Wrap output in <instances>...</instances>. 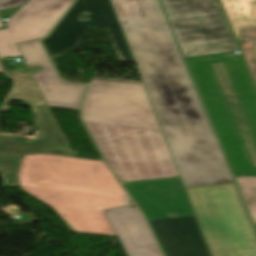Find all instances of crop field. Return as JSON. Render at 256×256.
<instances>
[{
	"mask_svg": "<svg viewBox=\"0 0 256 256\" xmlns=\"http://www.w3.org/2000/svg\"><path fill=\"white\" fill-rule=\"evenodd\" d=\"M91 12L89 20H78L82 12ZM64 19L92 23L91 26L108 29L107 22H119L111 0H77Z\"/></svg>",
	"mask_w": 256,
	"mask_h": 256,
	"instance_id": "14",
	"label": "crop field"
},
{
	"mask_svg": "<svg viewBox=\"0 0 256 256\" xmlns=\"http://www.w3.org/2000/svg\"><path fill=\"white\" fill-rule=\"evenodd\" d=\"M83 120L161 129L143 82L93 77Z\"/></svg>",
	"mask_w": 256,
	"mask_h": 256,
	"instance_id": "7",
	"label": "crop field"
},
{
	"mask_svg": "<svg viewBox=\"0 0 256 256\" xmlns=\"http://www.w3.org/2000/svg\"><path fill=\"white\" fill-rule=\"evenodd\" d=\"M0 73H4L3 70H2V68H1V65H0Z\"/></svg>",
	"mask_w": 256,
	"mask_h": 256,
	"instance_id": "25",
	"label": "crop field"
},
{
	"mask_svg": "<svg viewBox=\"0 0 256 256\" xmlns=\"http://www.w3.org/2000/svg\"><path fill=\"white\" fill-rule=\"evenodd\" d=\"M85 124L122 182L180 176L161 130Z\"/></svg>",
	"mask_w": 256,
	"mask_h": 256,
	"instance_id": "5",
	"label": "crop field"
},
{
	"mask_svg": "<svg viewBox=\"0 0 256 256\" xmlns=\"http://www.w3.org/2000/svg\"><path fill=\"white\" fill-rule=\"evenodd\" d=\"M220 1L238 42L256 38V0Z\"/></svg>",
	"mask_w": 256,
	"mask_h": 256,
	"instance_id": "13",
	"label": "crop field"
},
{
	"mask_svg": "<svg viewBox=\"0 0 256 256\" xmlns=\"http://www.w3.org/2000/svg\"><path fill=\"white\" fill-rule=\"evenodd\" d=\"M185 189L211 256H256V235L235 183Z\"/></svg>",
	"mask_w": 256,
	"mask_h": 256,
	"instance_id": "6",
	"label": "crop field"
},
{
	"mask_svg": "<svg viewBox=\"0 0 256 256\" xmlns=\"http://www.w3.org/2000/svg\"><path fill=\"white\" fill-rule=\"evenodd\" d=\"M34 136L0 134V152L4 145L29 147ZM22 157L0 155V170L7 178V185L18 182L17 173Z\"/></svg>",
	"mask_w": 256,
	"mask_h": 256,
	"instance_id": "16",
	"label": "crop field"
},
{
	"mask_svg": "<svg viewBox=\"0 0 256 256\" xmlns=\"http://www.w3.org/2000/svg\"><path fill=\"white\" fill-rule=\"evenodd\" d=\"M126 198H127V205H131L134 204L133 200L131 199V197L129 196V194L126 191Z\"/></svg>",
	"mask_w": 256,
	"mask_h": 256,
	"instance_id": "23",
	"label": "crop field"
},
{
	"mask_svg": "<svg viewBox=\"0 0 256 256\" xmlns=\"http://www.w3.org/2000/svg\"><path fill=\"white\" fill-rule=\"evenodd\" d=\"M167 256H210L180 177L124 183ZM179 212L169 219L167 213Z\"/></svg>",
	"mask_w": 256,
	"mask_h": 256,
	"instance_id": "4",
	"label": "crop field"
},
{
	"mask_svg": "<svg viewBox=\"0 0 256 256\" xmlns=\"http://www.w3.org/2000/svg\"><path fill=\"white\" fill-rule=\"evenodd\" d=\"M4 27H6V26L4 25V23L2 22V20L0 18V28H4Z\"/></svg>",
	"mask_w": 256,
	"mask_h": 256,
	"instance_id": "24",
	"label": "crop field"
},
{
	"mask_svg": "<svg viewBox=\"0 0 256 256\" xmlns=\"http://www.w3.org/2000/svg\"><path fill=\"white\" fill-rule=\"evenodd\" d=\"M33 76H34V78H35V80H36V82H37V84H38V86H39V88H40V90H41V92H42V94H43L47 104H48V106H50V104H49V102H48V100H47V98H46V96L44 94V91L42 89V86H41L40 82L41 81L52 82V81L47 77V75L45 74L44 70L41 73H39L38 75H33Z\"/></svg>",
	"mask_w": 256,
	"mask_h": 256,
	"instance_id": "21",
	"label": "crop field"
},
{
	"mask_svg": "<svg viewBox=\"0 0 256 256\" xmlns=\"http://www.w3.org/2000/svg\"><path fill=\"white\" fill-rule=\"evenodd\" d=\"M27 65H38L45 69L53 83L41 82L54 107L79 110L81 97L88 85L61 82L39 39L17 44Z\"/></svg>",
	"mask_w": 256,
	"mask_h": 256,
	"instance_id": "10",
	"label": "crop field"
},
{
	"mask_svg": "<svg viewBox=\"0 0 256 256\" xmlns=\"http://www.w3.org/2000/svg\"><path fill=\"white\" fill-rule=\"evenodd\" d=\"M105 212L106 211H111V212H115V213H118V214H121V213H124L126 211V206L124 207H118V208H112V209H106L104 210Z\"/></svg>",
	"mask_w": 256,
	"mask_h": 256,
	"instance_id": "22",
	"label": "crop field"
},
{
	"mask_svg": "<svg viewBox=\"0 0 256 256\" xmlns=\"http://www.w3.org/2000/svg\"><path fill=\"white\" fill-rule=\"evenodd\" d=\"M185 187L235 182L158 0H112Z\"/></svg>",
	"mask_w": 256,
	"mask_h": 256,
	"instance_id": "1",
	"label": "crop field"
},
{
	"mask_svg": "<svg viewBox=\"0 0 256 256\" xmlns=\"http://www.w3.org/2000/svg\"><path fill=\"white\" fill-rule=\"evenodd\" d=\"M186 59L235 175L256 177V90L242 56Z\"/></svg>",
	"mask_w": 256,
	"mask_h": 256,
	"instance_id": "3",
	"label": "crop field"
},
{
	"mask_svg": "<svg viewBox=\"0 0 256 256\" xmlns=\"http://www.w3.org/2000/svg\"><path fill=\"white\" fill-rule=\"evenodd\" d=\"M112 41L122 62H134L119 23H108Z\"/></svg>",
	"mask_w": 256,
	"mask_h": 256,
	"instance_id": "17",
	"label": "crop field"
},
{
	"mask_svg": "<svg viewBox=\"0 0 256 256\" xmlns=\"http://www.w3.org/2000/svg\"><path fill=\"white\" fill-rule=\"evenodd\" d=\"M35 122L42 135L35 136L29 148L4 146L1 154L24 156L44 152L73 156L48 106H38Z\"/></svg>",
	"mask_w": 256,
	"mask_h": 256,
	"instance_id": "12",
	"label": "crop field"
},
{
	"mask_svg": "<svg viewBox=\"0 0 256 256\" xmlns=\"http://www.w3.org/2000/svg\"><path fill=\"white\" fill-rule=\"evenodd\" d=\"M27 0H0V10L22 6Z\"/></svg>",
	"mask_w": 256,
	"mask_h": 256,
	"instance_id": "20",
	"label": "crop field"
},
{
	"mask_svg": "<svg viewBox=\"0 0 256 256\" xmlns=\"http://www.w3.org/2000/svg\"><path fill=\"white\" fill-rule=\"evenodd\" d=\"M242 51L256 83V39L246 41Z\"/></svg>",
	"mask_w": 256,
	"mask_h": 256,
	"instance_id": "19",
	"label": "crop field"
},
{
	"mask_svg": "<svg viewBox=\"0 0 256 256\" xmlns=\"http://www.w3.org/2000/svg\"><path fill=\"white\" fill-rule=\"evenodd\" d=\"M89 26L87 23L62 19L49 38L43 40L51 58L58 57L63 49H74Z\"/></svg>",
	"mask_w": 256,
	"mask_h": 256,
	"instance_id": "15",
	"label": "crop field"
},
{
	"mask_svg": "<svg viewBox=\"0 0 256 256\" xmlns=\"http://www.w3.org/2000/svg\"><path fill=\"white\" fill-rule=\"evenodd\" d=\"M106 215L128 256H163L136 205L127 206L124 214L106 212Z\"/></svg>",
	"mask_w": 256,
	"mask_h": 256,
	"instance_id": "11",
	"label": "crop field"
},
{
	"mask_svg": "<svg viewBox=\"0 0 256 256\" xmlns=\"http://www.w3.org/2000/svg\"><path fill=\"white\" fill-rule=\"evenodd\" d=\"M256 225V178L236 177Z\"/></svg>",
	"mask_w": 256,
	"mask_h": 256,
	"instance_id": "18",
	"label": "crop field"
},
{
	"mask_svg": "<svg viewBox=\"0 0 256 256\" xmlns=\"http://www.w3.org/2000/svg\"><path fill=\"white\" fill-rule=\"evenodd\" d=\"M186 57L236 51L217 0H162Z\"/></svg>",
	"mask_w": 256,
	"mask_h": 256,
	"instance_id": "8",
	"label": "crop field"
},
{
	"mask_svg": "<svg viewBox=\"0 0 256 256\" xmlns=\"http://www.w3.org/2000/svg\"><path fill=\"white\" fill-rule=\"evenodd\" d=\"M74 0H29L22 7L0 11L8 18L0 29V58L21 56L16 44L47 36Z\"/></svg>",
	"mask_w": 256,
	"mask_h": 256,
	"instance_id": "9",
	"label": "crop field"
},
{
	"mask_svg": "<svg viewBox=\"0 0 256 256\" xmlns=\"http://www.w3.org/2000/svg\"><path fill=\"white\" fill-rule=\"evenodd\" d=\"M18 178L23 190L52 206L75 231L116 236L103 209L126 205L125 190L104 161L29 154Z\"/></svg>",
	"mask_w": 256,
	"mask_h": 256,
	"instance_id": "2",
	"label": "crop field"
}]
</instances>
